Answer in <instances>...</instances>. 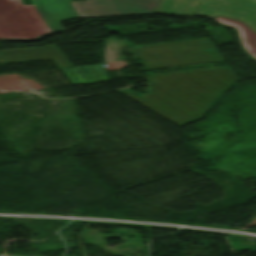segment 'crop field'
Returning <instances> with one entry per match:
<instances>
[{
  "label": "crop field",
  "mask_w": 256,
  "mask_h": 256,
  "mask_svg": "<svg viewBox=\"0 0 256 256\" xmlns=\"http://www.w3.org/2000/svg\"><path fill=\"white\" fill-rule=\"evenodd\" d=\"M148 90L123 94L183 127L209 111L218 98L240 81L231 67L147 77ZM214 106V105H213Z\"/></svg>",
  "instance_id": "1"
},
{
  "label": "crop field",
  "mask_w": 256,
  "mask_h": 256,
  "mask_svg": "<svg viewBox=\"0 0 256 256\" xmlns=\"http://www.w3.org/2000/svg\"><path fill=\"white\" fill-rule=\"evenodd\" d=\"M0 0V39H34L46 33L65 30L59 22L79 18L73 0ZM39 38V37H38Z\"/></svg>",
  "instance_id": "2"
},
{
  "label": "crop field",
  "mask_w": 256,
  "mask_h": 256,
  "mask_svg": "<svg viewBox=\"0 0 256 256\" xmlns=\"http://www.w3.org/2000/svg\"><path fill=\"white\" fill-rule=\"evenodd\" d=\"M161 0H87L71 2L80 18L153 15Z\"/></svg>",
  "instance_id": "3"
},
{
  "label": "crop field",
  "mask_w": 256,
  "mask_h": 256,
  "mask_svg": "<svg viewBox=\"0 0 256 256\" xmlns=\"http://www.w3.org/2000/svg\"><path fill=\"white\" fill-rule=\"evenodd\" d=\"M196 14L241 20L256 32V0H202Z\"/></svg>",
  "instance_id": "4"
},
{
  "label": "crop field",
  "mask_w": 256,
  "mask_h": 256,
  "mask_svg": "<svg viewBox=\"0 0 256 256\" xmlns=\"http://www.w3.org/2000/svg\"><path fill=\"white\" fill-rule=\"evenodd\" d=\"M200 0H162L156 13L188 16L194 14Z\"/></svg>",
  "instance_id": "5"
},
{
  "label": "crop field",
  "mask_w": 256,
  "mask_h": 256,
  "mask_svg": "<svg viewBox=\"0 0 256 256\" xmlns=\"http://www.w3.org/2000/svg\"><path fill=\"white\" fill-rule=\"evenodd\" d=\"M216 20L220 23L232 25L238 29L242 43L248 53L256 58V33L240 21H233L223 17H218Z\"/></svg>",
  "instance_id": "6"
}]
</instances>
